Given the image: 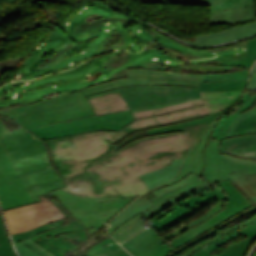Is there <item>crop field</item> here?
Listing matches in <instances>:
<instances>
[{
    "mask_svg": "<svg viewBox=\"0 0 256 256\" xmlns=\"http://www.w3.org/2000/svg\"><path fill=\"white\" fill-rule=\"evenodd\" d=\"M200 98V97H199ZM195 98V99H199ZM191 99V100H195ZM190 101V100H186ZM182 101V102H186ZM181 103V102H177ZM173 103V104H177ZM172 105V104H168ZM161 106H153L147 108H141L136 110H128L122 112H116L111 114L99 115V116H90L78 120L66 121L57 124H52L48 126L38 127L34 129H30L31 132L36 134L43 140L52 139L61 136L81 134L95 130H115L119 131L124 126L134 122L131 112L149 110ZM93 128V130H91Z\"/></svg>",
    "mask_w": 256,
    "mask_h": 256,
    "instance_id": "obj_10",
    "label": "crop field"
},
{
    "mask_svg": "<svg viewBox=\"0 0 256 256\" xmlns=\"http://www.w3.org/2000/svg\"><path fill=\"white\" fill-rule=\"evenodd\" d=\"M217 114H212V115H208L202 119H199V120H195V121H190V122H186V123H182V124H177V125H173V126H168V127H165V128H159V129H154V130H150L146 133H143V134H139L135 137H133L132 139L124 142L121 146H119V148L123 147L125 144L133 141V140H136L140 137H144V136H149V135H154V134H161V133H171V132H180V131H184L183 130V127H186V126H191V125H196V124H200V123H205V122H210V121H213L217 115Z\"/></svg>",
    "mask_w": 256,
    "mask_h": 256,
    "instance_id": "obj_25",
    "label": "crop field"
},
{
    "mask_svg": "<svg viewBox=\"0 0 256 256\" xmlns=\"http://www.w3.org/2000/svg\"><path fill=\"white\" fill-rule=\"evenodd\" d=\"M170 2L208 5V0H169Z\"/></svg>",
    "mask_w": 256,
    "mask_h": 256,
    "instance_id": "obj_31",
    "label": "crop field"
},
{
    "mask_svg": "<svg viewBox=\"0 0 256 256\" xmlns=\"http://www.w3.org/2000/svg\"><path fill=\"white\" fill-rule=\"evenodd\" d=\"M252 241L253 240L248 238V239L232 246L231 248H229L228 250H226L224 253H222L219 256H243ZM196 256H213V255L207 253L204 250H201Z\"/></svg>",
    "mask_w": 256,
    "mask_h": 256,
    "instance_id": "obj_26",
    "label": "crop field"
},
{
    "mask_svg": "<svg viewBox=\"0 0 256 256\" xmlns=\"http://www.w3.org/2000/svg\"><path fill=\"white\" fill-rule=\"evenodd\" d=\"M89 102L96 115L128 109L119 92L89 99Z\"/></svg>",
    "mask_w": 256,
    "mask_h": 256,
    "instance_id": "obj_20",
    "label": "crop field"
},
{
    "mask_svg": "<svg viewBox=\"0 0 256 256\" xmlns=\"http://www.w3.org/2000/svg\"><path fill=\"white\" fill-rule=\"evenodd\" d=\"M0 113L27 129L95 114L81 91L12 109L1 108Z\"/></svg>",
    "mask_w": 256,
    "mask_h": 256,
    "instance_id": "obj_5",
    "label": "crop field"
},
{
    "mask_svg": "<svg viewBox=\"0 0 256 256\" xmlns=\"http://www.w3.org/2000/svg\"><path fill=\"white\" fill-rule=\"evenodd\" d=\"M122 245L133 256H166L174 248L162 245L161 237L152 228L126 241Z\"/></svg>",
    "mask_w": 256,
    "mask_h": 256,
    "instance_id": "obj_13",
    "label": "crop field"
},
{
    "mask_svg": "<svg viewBox=\"0 0 256 256\" xmlns=\"http://www.w3.org/2000/svg\"><path fill=\"white\" fill-rule=\"evenodd\" d=\"M254 70H256L255 65L250 80L245 87L246 89H256V73H253ZM250 134H256V107L240 114L233 122L225 138Z\"/></svg>",
    "mask_w": 256,
    "mask_h": 256,
    "instance_id": "obj_17",
    "label": "crop field"
},
{
    "mask_svg": "<svg viewBox=\"0 0 256 256\" xmlns=\"http://www.w3.org/2000/svg\"><path fill=\"white\" fill-rule=\"evenodd\" d=\"M240 93L200 92L199 100L133 113L135 122L120 132L95 131L47 140L67 185L61 189L84 197L124 198L150 191L139 175L172 164L173 158H184L211 122L186 127L185 132L140 138L120 150L112 144L136 130L221 112Z\"/></svg>",
    "mask_w": 256,
    "mask_h": 256,
    "instance_id": "obj_1",
    "label": "crop field"
},
{
    "mask_svg": "<svg viewBox=\"0 0 256 256\" xmlns=\"http://www.w3.org/2000/svg\"><path fill=\"white\" fill-rule=\"evenodd\" d=\"M221 142L208 140L204 154L206 168L200 176L191 173L174 185L151 191L156 196L150 199L154 206L120 226L111 236L119 243L126 240L145 229L143 226H148L146 223L156 214L190 195L211 190L208 184L221 180L229 179L255 205L256 160L219 154Z\"/></svg>",
    "mask_w": 256,
    "mask_h": 256,
    "instance_id": "obj_3",
    "label": "crop field"
},
{
    "mask_svg": "<svg viewBox=\"0 0 256 256\" xmlns=\"http://www.w3.org/2000/svg\"><path fill=\"white\" fill-rule=\"evenodd\" d=\"M145 2H164V0H143Z\"/></svg>",
    "mask_w": 256,
    "mask_h": 256,
    "instance_id": "obj_32",
    "label": "crop field"
},
{
    "mask_svg": "<svg viewBox=\"0 0 256 256\" xmlns=\"http://www.w3.org/2000/svg\"><path fill=\"white\" fill-rule=\"evenodd\" d=\"M70 210L76 219H80L90 234L97 231L134 198L119 197L83 198L68 194L62 190L50 192ZM83 215V216H82Z\"/></svg>",
    "mask_w": 256,
    "mask_h": 256,
    "instance_id": "obj_9",
    "label": "crop field"
},
{
    "mask_svg": "<svg viewBox=\"0 0 256 256\" xmlns=\"http://www.w3.org/2000/svg\"><path fill=\"white\" fill-rule=\"evenodd\" d=\"M105 238L107 237L104 234L98 233L94 238H90L88 241H86L81 247L78 248V250L83 251L88 249Z\"/></svg>",
    "mask_w": 256,
    "mask_h": 256,
    "instance_id": "obj_30",
    "label": "crop field"
},
{
    "mask_svg": "<svg viewBox=\"0 0 256 256\" xmlns=\"http://www.w3.org/2000/svg\"><path fill=\"white\" fill-rule=\"evenodd\" d=\"M152 206V203L148 199L142 198L135 200L126 209L119 213L113 220L110 221L107 228L109 234H111L117 227L133 218L135 215L148 210Z\"/></svg>",
    "mask_w": 256,
    "mask_h": 256,
    "instance_id": "obj_22",
    "label": "crop field"
},
{
    "mask_svg": "<svg viewBox=\"0 0 256 256\" xmlns=\"http://www.w3.org/2000/svg\"><path fill=\"white\" fill-rule=\"evenodd\" d=\"M89 238L86 228L77 220L20 241L15 246L21 256H64V253L72 248L77 249Z\"/></svg>",
    "mask_w": 256,
    "mask_h": 256,
    "instance_id": "obj_8",
    "label": "crop field"
},
{
    "mask_svg": "<svg viewBox=\"0 0 256 256\" xmlns=\"http://www.w3.org/2000/svg\"><path fill=\"white\" fill-rule=\"evenodd\" d=\"M44 142L0 117V204L3 210L40 201L65 184L50 165Z\"/></svg>",
    "mask_w": 256,
    "mask_h": 256,
    "instance_id": "obj_2",
    "label": "crop field"
},
{
    "mask_svg": "<svg viewBox=\"0 0 256 256\" xmlns=\"http://www.w3.org/2000/svg\"><path fill=\"white\" fill-rule=\"evenodd\" d=\"M40 198L42 202L4 212L11 234L31 230L65 218L52 202L41 196Z\"/></svg>",
    "mask_w": 256,
    "mask_h": 256,
    "instance_id": "obj_11",
    "label": "crop field"
},
{
    "mask_svg": "<svg viewBox=\"0 0 256 256\" xmlns=\"http://www.w3.org/2000/svg\"><path fill=\"white\" fill-rule=\"evenodd\" d=\"M63 220L64 219H62L60 221H57V222H54V223H51V224H47V225L38 227V228L33 229L31 231H28V232L12 235L13 241H14V243H16L19 240H24V239L28 238L29 236H34L35 234L48 231V230L53 229V228H55L57 226H61Z\"/></svg>",
    "mask_w": 256,
    "mask_h": 256,
    "instance_id": "obj_28",
    "label": "crop field"
},
{
    "mask_svg": "<svg viewBox=\"0 0 256 256\" xmlns=\"http://www.w3.org/2000/svg\"><path fill=\"white\" fill-rule=\"evenodd\" d=\"M128 78L100 84L81 90L86 96L133 85H178L199 87V82L218 80H248L250 71H241L228 74L190 75L181 73H168L157 70H129Z\"/></svg>",
    "mask_w": 256,
    "mask_h": 256,
    "instance_id": "obj_7",
    "label": "crop field"
},
{
    "mask_svg": "<svg viewBox=\"0 0 256 256\" xmlns=\"http://www.w3.org/2000/svg\"><path fill=\"white\" fill-rule=\"evenodd\" d=\"M183 160L184 159H174L172 165L141 175V177L149 189L162 185L177 175Z\"/></svg>",
    "mask_w": 256,
    "mask_h": 256,
    "instance_id": "obj_21",
    "label": "crop field"
},
{
    "mask_svg": "<svg viewBox=\"0 0 256 256\" xmlns=\"http://www.w3.org/2000/svg\"><path fill=\"white\" fill-rule=\"evenodd\" d=\"M256 64V63H255Z\"/></svg>",
    "mask_w": 256,
    "mask_h": 256,
    "instance_id": "obj_35",
    "label": "crop field"
},
{
    "mask_svg": "<svg viewBox=\"0 0 256 256\" xmlns=\"http://www.w3.org/2000/svg\"><path fill=\"white\" fill-rule=\"evenodd\" d=\"M255 99H256V94L250 97L248 92L244 93V97L241 100V102H243L244 104L239 106L240 109H238V110H234L235 107L233 108V110L235 111V114H233L229 117L226 115H223L222 118L220 119L218 125L212 131L209 138L223 140L231 123L235 120V118L240 113H242L243 110L251 107L253 105Z\"/></svg>",
    "mask_w": 256,
    "mask_h": 256,
    "instance_id": "obj_23",
    "label": "crop field"
},
{
    "mask_svg": "<svg viewBox=\"0 0 256 256\" xmlns=\"http://www.w3.org/2000/svg\"><path fill=\"white\" fill-rule=\"evenodd\" d=\"M245 233V236L240 237V239H237L235 241H232V244H230L228 247L223 249L222 251L218 252L215 254V256H218L221 254L223 251L231 247L232 245L246 239V238H251L255 239L256 238V219L250 220L248 222L242 223L240 225L234 226L230 228L228 231L222 233L221 235L215 237L211 241L205 243L207 246H204V244L195 247L193 250L185 254L184 256H194L196 255L201 249L206 250L207 252H211L217 248H219L222 244L228 242L229 240Z\"/></svg>",
    "mask_w": 256,
    "mask_h": 256,
    "instance_id": "obj_14",
    "label": "crop field"
},
{
    "mask_svg": "<svg viewBox=\"0 0 256 256\" xmlns=\"http://www.w3.org/2000/svg\"><path fill=\"white\" fill-rule=\"evenodd\" d=\"M216 124H217V122L213 121L211 127L205 132L204 136H202V138L197 142L196 146L188 154V156L186 157V160L183 163V167H182L179 175L174 180L166 183L165 185H163L161 187H164V186H167L170 184H174L191 172L200 175V173L205 168L203 154L205 151L207 140H208V137H209L212 129L216 126ZM161 187H159V188H161ZM159 188H157V189H159ZM154 190H156V189H154Z\"/></svg>",
    "mask_w": 256,
    "mask_h": 256,
    "instance_id": "obj_15",
    "label": "crop field"
},
{
    "mask_svg": "<svg viewBox=\"0 0 256 256\" xmlns=\"http://www.w3.org/2000/svg\"><path fill=\"white\" fill-rule=\"evenodd\" d=\"M49 200H51L58 208L59 210L69 219L70 222L76 220L73 215L68 211V209L59 201V199L49 193L42 195Z\"/></svg>",
    "mask_w": 256,
    "mask_h": 256,
    "instance_id": "obj_29",
    "label": "crop field"
},
{
    "mask_svg": "<svg viewBox=\"0 0 256 256\" xmlns=\"http://www.w3.org/2000/svg\"><path fill=\"white\" fill-rule=\"evenodd\" d=\"M256 33V23H251L248 25H242L230 30H224L216 33H212L209 35H201L197 36L194 42L187 41L193 44H197L200 46H208L217 43H222L234 39H239L241 37H246Z\"/></svg>",
    "mask_w": 256,
    "mask_h": 256,
    "instance_id": "obj_18",
    "label": "crop field"
},
{
    "mask_svg": "<svg viewBox=\"0 0 256 256\" xmlns=\"http://www.w3.org/2000/svg\"><path fill=\"white\" fill-rule=\"evenodd\" d=\"M212 188L214 190L193 195L176 203L167 210L156 215L147 224L150 226L153 225L154 227L152 228L160 233L188 218L199 208L204 207L217 199L225 198V196L216 187ZM150 222H153V224H150Z\"/></svg>",
    "mask_w": 256,
    "mask_h": 256,
    "instance_id": "obj_12",
    "label": "crop field"
},
{
    "mask_svg": "<svg viewBox=\"0 0 256 256\" xmlns=\"http://www.w3.org/2000/svg\"><path fill=\"white\" fill-rule=\"evenodd\" d=\"M247 45H248L247 58L221 62V63H218L216 67L192 65L189 71L196 72V73L200 72L204 74L209 71H212L213 73L234 72V71H240L241 68H248L249 70L256 60V38L247 41Z\"/></svg>",
    "mask_w": 256,
    "mask_h": 256,
    "instance_id": "obj_16",
    "label": "crop field"
},
{
    "mask_svg": "<svg viewBox=\"0 0 256 256\" xmlns=\"http://www.w3.org/2000/svg\"><path fill=\"white\" fill-rule=\"evenodd\" d=\"M87 256H131V255L128 254L122 247H120L110 237H108L107 239L103 240L102 242L92 247Z\"/></svg>",
    "mask_w": 256,
    "mask_h": 256,
    "instance_id": "obj_24",
    "label": "crop field"
},
{
    "mask_svg": "<svg viewBox=\"0 0 256 256\" xmlns=\"http://www.w3.org/2000/svg\"><path fill=\"white\" fill-rule=\"evenodd\" d=\"M245 83L246 81L206 82L200 83V88L178 86H133L88 96L86 98L88 99L119 91L129 109H136L199 97V91L242 90Z\"/></svg>",
    "mask_w": 256,
    "mask_h": 256,
    "instance_id": "obj_6",
    "label": "crop field"
},
{
    "mask_svg": "<svg viewBox=\"0 0 256 256\" xmlns=\"http://www.w3.org/2000/svg\"><path fill=\"white\" fill-rule=\"evenodd\" d=\"M239 107L235 108V109H238Z\"/></svg>",
    "mask_w": 256,
    "mask_h": 256,
    "instance_id": "obj_34",
    "label": "crop field"
},
{
    "mask_svg": "<svg viewBox=\"0 0 256 256\" xmlns=\"http://www.w3.org/2000/svg\"><path fill=\"white\" fill-rule=\"evenodd\" d=\"M254 256H256V253L254 254Z\"/></svg>",
    "mask_w": 256,
    "mask_h": 256,
    "instance_id": "obj_33",
    "label": "crop field"
},
{
    "mask_svg": "<svg viewBox=\"0 0 256 256\" xmlns=\"http://www.w3.org/2000/svg\"><path fill=\"white\" fill-rule=\"evenodd\" d=\"M220 153L256 159V135L224 139Z\"/></svg>",
    "mask_w": 256,
    "mask_h": 256,
    "instance_id": "obj_19",
    "label": "crop field"
},
{
    "mask_svg": "<svg viewBox=\"0 0 256 256\" xmlns=\"http://www.w3.org/2000/svg\"><path fill=\"white\" fill-rule=\"evenodd\" d=\"M0 256H17L10 244L1 216H0Z\"/></svg>",
    "mask_w": 256,
    "mask_h": 256,
    "instance_id": "obj_27",
    "label": "crop field"
},
{
    "mask_svg": "<svg viewBox=\"0 0 256 256\" xmlns=\"http://www.w3.org/2000/svg\"><path fill=\"white\" fill-rule=\"evenodd\" d=\"M220 184L228 196V206L222 212H217L222 208V201L218 200L216 207L206 215L164 236L168 240L182 231L189 229L188 232L172 241V246L177 248L178 251L188 248L192 244L204 239L234 219L256 210V205L252 206L229 180L221 181Z\"/></svg>",
    "mask_w": 256,
    "mask_h": 256,
    "instance_id": "obj_4",
    "label": "crop field"
}]
</instances>
